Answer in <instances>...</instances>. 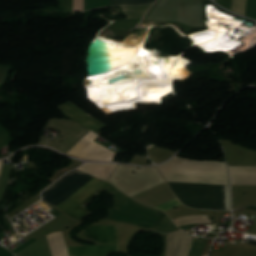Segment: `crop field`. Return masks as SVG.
I'll return each mask as SVG.
<instances>
[{"label":"crop field","mask_w":256,"mask_h":256,"mask_svg":"<svg viewBox=\"0 0 256 256\" xmlns=\"http://www.w3.org/2000/svg\"><path fill=\"white\" fill-rule=\"evenodd\" d=\"M90 178H92V176L74 170L67 173L63 178L51 185L42 194V197L55 207ZM108 185L109 184L107 182L93 177L56 206V208L78 220H81L83 217L91 213L85 207L91 203L94 196L100 193Z\"/></svg>","instance_id":"crop-field-1"},{"label":"crop field","mask_w":256,"mask_h":256,"mask_svg":"<svg viewBox=\"0 0 256 256\" xmlns=\"http://www.w3.org/2000/svg\"><path fill=\"white\" fill-rule=\"evenodd\" d=\"M176 197L186 206L224 210L223 186L168 182Z\"/></svg>","instance_id":"crop-field-2"},{"label":"crop field","mask_w":256,"mask_h":256,"mask_svg":"<svg viewBox=\"0 0 256 256\" xmlns=\"http://www.w3.org/2000/svg\"><path fill=\"white\" fill-rule=\"evenodd\" d=\"M88 239L97 243H118L115 227H88ZM69 256H107L119 252L118 245L67 247Z\"/></svg>","instance_id":"crop-field-3"},{"label":"crop field","mask_w":256,"mask_h":256,"mask_svg":"<svg viewBox=\"0 0 256 256\" xmlns=\"http://www.w3.org/2000/svg\"><path fill=\"white\" fill-rule=\"evenodd\" d=\"M96 137L95 134L89 131L67 154L87 160L112 161L117 154L93 142Z\"/></svg>","instance_id":"crop-field-4"},{"label":"crop field","mask_w":256,"mask_h":256,"mask_svg":"<svg viewBox=\"0 0 256 256\" xmlns=\"http://www.w3.org/2000/svg\"><path fill=\"white\" fill-rule=\"evenodd\" d=\"M65 116H67L69 119L77 122L78 124L86 127L87 129L98 132L100 129H102L104 124L99 122L98 120L94 119L90 115L83 112L81 109L73 105L71 102H66L65 104L58 107Z\"/></svg>","instance_id":"crop-field-5"},{"label":"crop field","mask_w":256,"mask_h":256,"mask_svg":"<svg viewBox=\"0 0 256 256\" xmlns=\"http://www.w3.org/2000/svg\"><path fill=\"white\" fill-rule=\"evenodd\" d=\"M152 5V4H151ZM151 5L137 7H121L123 13L129 15L128 19L142 18Z\"/></svg>","instance_id":"crop-field-6"},{"label":"crop field","mask_w":256,"mask_h":256,"mask_svg":"<svg viewBox=\"0 0 256 256\" xmlns=\"http://www.w3.org/2000/svg\"><path fill=\"white\" fill-rule=\"evenodd\" d=\"M155 0H110V6L112 5H139L145 3H152Z\"/></svg>","instance_id":"crop-field-7"},{"label":"crop field","mask_w":256,"mask_h":256,"mask_svg":"<svg viewBox=\"0 0 256 256\" xmlns=\"http://www.w3.org/2000/svg\"><path fill=\"white\" fill-rule=\"evenodd\" d=\"M179 205H181V203H180L177 199H175V200H173V201H170V202H168V203L162 204V205L157 206V207H155V208H157V209H159V210L165 212V211H167V210H169V209H172V208H174V207H177V206H179Z\"/></svg>","instance_id":"crop-field-8"},{"label":"crop field","mask_w":256,"mask_h":256,"mask_svg":"<svg viewBox=\"0 0 256 256\" xmlns=\"http://www.w3.org/2000/svg\"><path fill=\"white\" fill-rule=\"evenodd\" d=\"M248 243H249V244H254V245H256V241H251V240H249Z\"/></svg>","instance_id":"crop-field-9"},{"label":"crop field","mask_w":256,"mask_h":256,"mask_svg":"<svg viewBox=\"0 0 256 256\" xmlns=\"http://www.w3.org/2000/svg\"><path fill=\"white\" fill-rule=\"evenodd\" d=\"M2 161H3V160L0 161V169H1Z\"/></svg>","instance_id":"crop-field-10"},{"label":"crop field","mask_w":256,"mask_h":256,"mask_svg":"<svg viewBox=\"0 0 256 256\" xmlns=\"http://www.w3.org/2000/svg\"><path fill=\"white\" fill-rule=\"evenodd\" d=\"M56 139H58V138H56Z\"/></svg>","instance_id":"crop-field-11"}]
</instances>
